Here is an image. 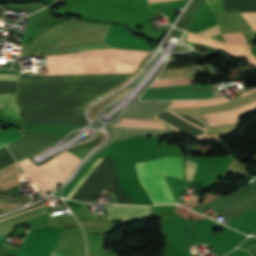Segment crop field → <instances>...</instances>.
<instances>
[{
    "label": "crop field",
    "mask_w": 256,
    "mask_h": 256,
    "mask_svg": "<svg viewBox=\"0 0 256 256\" xmlns=\"http://www.w3.org/2000/svg\"><path fill=\"white\" fill-rule=\"evenodd\" d=\"M150 52L100 49L47 56L48 69L137 67ZM135 68L48 70L47 75L132 73Z\"/></svg>",
    "instance_id": "crop-field-1"
},
{
    "label": "crop field",
    "mask_w": 256,
    "mask_h": 256,
    "mask_svg": "<svg viewBox=\"0 0 256 256\" xmlns=\"http://www.w3.org/2000/svg\"><path fill=\"white\" fill-rule=\"evenodd\" d=\"M196 163L186 159V181L193 182ZM138 178L154 205L176 203L163 176L183 179L182 158L161 157L136 164Z\"/></svg>",
    "instance_id": "crop-field-2"
},
{
    "label": "crop field",
    "mask_w": 256,
    "mask_h": 256,
    "mask_svg": "<svg viewBox=\"0 0 256 256\" xmlns=\"http://www.w3.org/2000/svg\"><path fill=\"white\" fill-rule=\"evenodd\" d=\"M80 160L75 154L65 150L39 166L33 164L28 158L19 163L42 196L60 185L73 172Z\"/></svg>",
    "instance_id": "crop-field-3"
},
{
    "label": "crop field",
    "mask_w": 256,
    "mask_h": 256,
    "mask_svg": "<svg viewBox=\"0 0 256 256\" xmlns=\"http://www.w3.org/2000/svg\"><path fill=\"white\" fill-rule=\"evenodd\" d=\"M210 85H182L165 88H148L139 100L211 98Z\"/></svg>",
    "instance_id": "crop-field-4"
},
{
    "label": "crop field",
    "mask_w": 256,
    "mask_h": 256,
    "mask_svg": "<svg viewBox=\"0 0 256 256\" xmlns=\"http://www.w3.org/2000/svg\"><path fill=\"white\" fill-rule=\"evenodd\" d=\"M187 41L215 46L225 52H228L236 58L245 59L252 65L256 66V58L251 54L249 46H226V44L219 42L217 40L211 38L203 39L191 33L188 34Z\"/></svg>",
    "instance_id": "crop-field-5"
},
{
    "label": "crop field",
    "mask_w": 256,
    "mask_h": 256,
    "mask_svg": "<svg viewBox=\"0 0 256 256\" xmlns=\"http://www.w3.org/2000/svg\"><path fill=\"white\" fill-rule=\"evenodd\" d=\"M111 216L107 217L111 221L119 219H130L140 215L151 213L148 207L139 206H122V205H109L105 207Z\"/></svg>",
    "instance_id": "crop-field-6"
},
{
    "label": "crop field",
    "mask_w": 256,
    "mask_h": 256,
    "mask_svg": "<svg viewBox=\"0 0 256 256\" xmlns=\"http://www.w3.org/2000/svg\"><path fill=\"white\" fill-rule=\"evenodd\" d=\"M0 110L4 114H7L20 120L15 94L0 93Z\"/></svg>",
    "instance_id": "crop-field-7"
},
{
    "label": "crop field",
    "mask_w": 256,
    "mask_h": 256,
    "mask_svg": "<svg viewBox=\"0 0 256 256\" xmlns=\"http://www.w3.org/2000/svg\"><path fill=\"white\" fill-rule=\"evenodd\" d=\"M21 175H23V172L21 171V169L18 167V165L15 162V163L7 166L6 168L0 170V183L10 180V179H13V178H16V177H19ZM19 186H22V184L12 187V188H9V189H6V190H3V192L11 190V189L19 187Z\"/></svg>",
    "instance_id": "crop-field-8"
},
{
    "label": "crop field",
    "mask_w": 256,
    "mask_h": 256,
    "mask_svg": "<svg viewBox=\"0 0 256 256\" xmlns=\"http://www.w3.org/2000/svg\"><path fill=\"white\" fill-rule=\"evenodd\" d=\"M113 126L165 129L160 122L121 120Z\"/></svg>",
    "instance_id": "crop-field-9"
},
{
    "label": "crop field",
    "mask_w": 256,
    "mask_h": 256,
    "mask_svg": "<svg viewBox=\"0 0 256 256\" xmlns=\"http://www.w3.org/2000/svg\"><path fill=\"white\" fill-rule=\"evenodd\" d=\"M23 137V135L12 128L8 129L7 131L0 129V147Z\"/></svg>",
    "instance_id": "crop-field-10"
},
{
    "label": "crop field",
    "mask_w": 256,
    "mask_h": 256,
    "mask_svg": "<svg viewBox=\"0 0 256 256\" xmlns=\"http://www.w3.org/2000/svg\"><path fill=\"white\" fill-rule=\"evenodd\" d=\"M193 80L194 78L192 77H186L181 79H162L156 80L150 87L191 84Z\"/></svg>",
    "instance_id": "crop-field-11"
},
{
    "label": "crop field",
    "mask_w": 256,
    "mask_h": 256,
    "mask_svg": "<svg viewBox=\"0 0 256 256\" xmlns=\"http://www.w3.org/2000/svg\"><path fill=\"white\" fill-rule=\"evenodd\" d=\"M221 37L225 40L226 44H248L243 33L223 34Z\"/></svg>",
    "instance_id": "crop-field-12"
},
{
    "label": "crop field",
    "mask_w": 256,
    "mask_h": 256,
    "mask_svg": "<svg viewBox=\"0 0 256 256\" xmlns=\"http://www.w3.org/2000/svg\"><path fill=\"white\" fill-rule=\"evenodd\" d=\"M98 159L93 165L92 167L86 172V174L81 178V180L75 185V187L71 190V192L68 194L67 198L70 199L72 197V195L78 190V188L81 186V184L85 181V179L90 175V173L95 169V167L100 163V161L102 160ZM102 162V161H101Z\"/></svg>",
    "instance_id": "crop-field-13"
},
{
    "label": "crop field",
    "mask_w": 256,
    "mask_h": 256,
    "mask_svg": "<svg viewBox=\"0 0 256 256\" xmlns=\"http://www.w3.org/2000/svg\"><path fill=\"white\" fill-rule=\"evenodd\" d=\"M20 206L21 205H19L17 203H13V202H9V201L1 200L0 199V214L8 212V211H10L12 209H16V208H18Z\"/></svg>",
    "instance_id": "crop-field-14"
},
{
    "label": "crop field",
    "mask_w": 256,
    "mask_h": 256,
    "mask_svg": "<svg viewBox=\"0 0 256 256\" xmlns=\"http://www.w3.org/2000/svg\"><path fill=\"white\" fill-rule=\"evenodd\" d=\"M218 33H219V29H218V25H217L215 27H212L210 29L204 30V31L199 32L197 34L202 35L204 37H210V36H214V35H216Z\"/></svg>",
    "instance_id": "crop-field-15"
},
{
    "label": "crop field",
    "mask_w": 256,
    "mask_h": 256,
    "mask_svg": "<svg viewBox=\"0 0 256 256\" xmlns=\"http://www.w3.org/2000/svg\"><path fill=\"white\" fill-rule=\"evenodd\" d=\"M19 74L0 73V81H17Z\"/></svg>",
    "instance_id": "crop-field-16"
},
{
    "label": "crop field",
    "mask_w": 256,
    "mask_h": 256,
    "mask_svg": "<svg viewBox=\"0 0 256 256\" xmlns=\"http://www.w3.org/2000/svg\"><path fill=\"white\" fill-rule=\"evenodd\" d=\"M166 1H171V0H148V3H152V2H166Z\"/></svg>",
    "instance_id": "crop-field-17"
},
{
    "label": "crop field",
    "mask_w": 256,
    "mask_h": 256,
    "mask_svg": "<svg viewBox=\"0 0 256 256\" xmlns=\"http://www.w3.org/2000/svg\"><path fill=\"white\" fill-rule=\"evenodd\" d=\"M51 256H64V255L59 254V253H56V252H54V251H53V253H52V255H51Z\"/></svg>",
    "instance_id": "crop-field-18"
}]
</instances>
